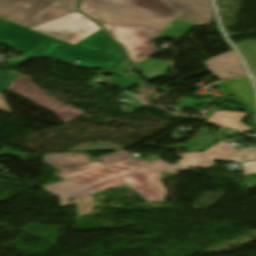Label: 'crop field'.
Listing matches in <instances>:
<instances>
[{
	"instance_id": "13",
	"label": "crop field",
	"mask_w": 256,
	"mask_h": 256,
	"mask_svg": "<svg viewBox=\"0 0 256 256\" xmlns=\"http://www.w3.org/2000/svg\"><path fill=\"white\" fill-rule=\"evenodd\" d=\"M152 63V64H149ZM148 65V66H145ZM137 71L141 72L143 77L148 80H153L162 77L166 73V69L170 67V62L147 59L138 64Z\"/></svg>"
},
{
	"instance_id": "21",
	"label": "crop field",
	"mask_w": 256,
	"mask_h": 256,
	"mask_svg": "<svg viewBox=\"0 0 256 256\" xmlns=\"http://www.w3.org/2000/svg\"><path fill=\"white\" fill-rule=\"evenodd\" d=\"M25 61L27 60H14V61H8V62H9V66H15Z\"/></svg>"
},
{
	"instance_id": "14",
	"label": "crop field",
	"mask_w": 256,
	"mask_h": 256,
	"mask_svg": "<svg viewBox=\"0 0 256 256\" xmlns=\"http://www.w3.org/2000/svg\"><path fill=\"white\" fill-rule=\"evenodd\" d=\"M18 75L12 72H1L0 71V92H5L9 87V82L14 80Z\"/></svg>"
},
{
	"instance_id": "9",
	"label": "crop field",
	"mask_w": 256,
	"mask_h": 256,
	"mask_svg": "<svg viewBox=\"0 0 256 256\" xmlns=\"http://www.w3.org/2000/svg\"><path fill=\"white\" fill-rule=\"evenodd\" d=\"M239 58V57H238ZM234 51L217 56L206 62L207 68L219 79L247 76Z\"/></svg>"
},
{
	"instance_id": "12",
	"label": "crop field",
	"mask_w": 256,
	"mask_h": 256,
	"mask_svg": "<svg viewBox=\"0 0 256 256\" xmlns=\"http://www.w3.org/2000/svg\"><path fill=\"white\" fill-rule=\"evenodd\" d=\"M223 83L239 97L251 103L250 106L244 108L246 112L255 113L256 100L249 78L228 80L223 81Z\"/></svg>"
},
{
	"instance_id": "1",
	"label": "crop field",
	"mask_w": 256,
	"mask_h": 256,
	"mask_svg": "<svg viewBox=\"0 0 256 256\" xmlns=\"http://www.w3.org/2000/svg\"><path fill=\"white\" fill-rule=\"evenodd\" d=\"M79 11L122 44L134 64L160 52L151 40H176L213 19L209 0H81Z\"/></svg>"
},
{
	"instance_id": "23",
	"label": "crop field",
	"mask_w": 256,
	"mask_h": 256,
	"mask_svg": "<svg viewBox=\"0 0 256 256\" xmlns=\"http://www.w3.org/2000/svg\"><path fill=\"white\" fill-rule=\"evenodd\" d=\"M3 22H5V20L0 19V24L3 23Z\"/></svg>"
},
{
	"instance_id": "11",
	"label": "crop field",
	"mask_w": 256,
	"mask_h": 256,
	"mask_svg": "<svg viewBox=\"0 0 256 256\" xmlns=\"http://www.w3.org/2000/svg\"><path fill=\"white\" fill-rule=\"evenodd\" d=\"M209 109L213 111L211 116L206 118V121L210 123L242 132H247L252 129L249 126L240 123L249 114L219 111L214 106Z\"/></svg>"
},
{
	"instance_id": "15",
	"label": "crop field",
	"mask_w": 256,
	"mask_h": 256,
	"mask_svg": "<svg viewBox=\"0 0 256 256\" xmlns=\"http://www.w3.org/2000/svg\"><path fill=\"white\" fill-rule=\"evenodd\" d=\"M215 86H217V87H219V88H221L220 90H218L217 92H220V93H222L223 95H224V97H225V99H227L226 97H227V95H229V94H231V95H233V99H231V100H233V101H235V102H237V103H239L241 106H246V105H248V103H246L244 100H242V99H240V98H238L237 96H235V94H233L228 88H226L221 82H219V83H217V84H214Z\"/></svg>"
},
{
	"instance_id": "8",
	"label": "crop field",
	"mask_w": 256,
	"mask_h": 256,
	"mask_svg": "<svg viewBox=\"0 0 256 256\" xmlns=\"http://www.w3.org/2000/svg\"><path fill=\"white\" fill-rule=\"evenodd\" d=\"M44 55L57 58L74 65L88 67L91 69H95L107 57L110 56L109 54H94L58 40L54 41L52 44H50L47 48H45L35 57ZM75 60H79L82 62L77 63L74 62Z\"/></svg>"
},
{
	"instance_id": "5",
	"label": "crop field",
	"mask_w": 256,
	"mask_h": 256,
	"mask_svg": "<svg viewBox=\"0 0 256 256\" xmlns=\"http://www.w3.org/2000/svg\"><path fill=\"white\" fill-rule=\"evenodd\" d=\"M30 29L75 45L100 27L75 12Z\"/></svg>"
},
{
	"instance_id": "4",
	"label": "crop field",
	"mask_w": 256,
	"mask_h": 256,
	"mask_svg": "<svg viewBox=\"0 0 256 256\" xmlns=\"http://www.w3.org/2000/svg\"><path fill=\"white\" fill-rule=\"evenodd\" d=\"M68 13L57 0H0V18L27 28Z\"/></svg>"
},
{
	"instance_id": "10",
	"label": "crop field",
	"mask_w": 256,
	"mask_h": 256,
	"mask_svg": "<svg viewBox=\"0 0 256 256\" xmlns=\"http://www.w3.org/2000/svg\"><path fill=\"white\" fill-rule=\"evenodd\" d=\"M105 33V32H104ZM102 30L93 34L89 38L80 42L76 46L86 49L88 51L93 50L95 52H108L119 63L124 59L121 47L114 43L108 36H106Z\"/></svg>"
},
{
	"instance_id": "7",
	"label": "crop field",
	"mask_w": 256,
	"mask_h": 256,
	"mask_svg": "<svg viewBox=\"0 0 256 256\" xmlns=\"http://www.w3.org/2000/svg\"><path fill=\"white\" fill-rule=\"evenodd\" d=\"M53 39L10 22L0 25V44L25 52L22 58L32 57Z\"/></svg>"
},
{
	"instance_id": "16",
	"label": "crop field",
	"mask_w": 256,
	"mask_h": 256,
	"mask_svg": "<svg viewBox=\"0 0 256 256\" xmlns=\"http://www.w3.org/2000/svg\"><path fill=\"white\" fill-rule=\"evenodd\" d=\"M112 74L115 75V76H119L120 77L119 79H115V77L112 78V79H109L111 82L115 83L116 85H118V86H120V87H122L124 89H126V88H128V87L133 85L132 83H130L126 78H124L117 71L112 72Z\"/></svg>"
},
{
	"instance_id": "18",
	"label": "crop field",
	"mask_w": 256,
	"mask_h": 256,
	"mask_svg": "<svg viewBox=\"0 0 256 256\" xmlns=\"http://www.w3.org/2000/svg\"><path fill=\"white\" fill-rule=\"evenodd\" d=\"M58 1H60L62 4H64L66 7H68L73 12L76 11V4H77L78 0H58Z\"/></svg>"
},
{
	"instance_id": "24",
	"label": "crop field",
	"mask_w": 256,
	"mask_h": 256,
	"mask_svg": "<svg viewBox=\"0 0 256 256\" xmlns=\"http://www.w3.org/2000/svg\"><path fill=\"white\" fill-rule=\"evenodd\" d=\"M256 78V77H255Z\"/></svg>"
},
{
	"instance_id": "2",
	"label": "crop field",
	"mask_w": 256,
	"mask_h": 256,
	"mask_svg": "<svg viewBox=\"0 0 256 256\" xmlns=\"http://www.w3.org/2000/svg\"><path fill=\"white\" fill-rule=\"evenodd\" d=\"M74 155V157H71ZM54 156V158H52ZM51 159V160H49ZM107 166L131 159L125 151L100 158ZM43 162L63 171L57 176L66 179L98 168L105 167L102 162H90L82 153L47 154ZM148 162L131 159L103 169L66 179L62 182L43 187L50 193L59 196L91 185L105 182L131 173ZM59 185V187H57Z\"/></svg>"
},
{
	"instance_id": "19",
	"label": "crop field",
	"mask_w": 256,
	"mask_h": 256,
	"mask_svg": "<svg viewBox=\"0 0 256 256\" xmlns=\"http://www.w3.org/2000/svg\"><path fill=\"white\" fill-rule=\"evenodd\" d=\"M1 94L2 93H0V111H5V112L11 113L12 111L10 112V110H9L10 108L8 109L6 103L4 102V100L1 97Z\"/></svg>"
},
{
	"instance_id": "3",
	"label": "crop field",
	"mask_w": 256,
	"mask_h": 256,
	"mask_svg": "<svg viewBox=\"0 0 256 256\" xmlns=\"http://www.w3.org/2000/svg\"><path fill=\"white\" fill-rule=\"evenodd\" d=\"M163 166H165V168H163ZM162 171L174 174L178 173L172 165L158 159L127 176L62 195L61 198L59 196L61 201L59 207L62 208L75 203L77 208H79L77 211L78 215H84L93 211V206L96 205L94 197L90 196L91 194L104 191L107 188H114L125 183L135 191L139 192V195L144 197L148 202L163 201L166 192L159 181ZM70 198L75 201L67 202L66 200Z\"/></svg>"
},
{
	"instance_id": "17",
	"label": "crop field",
	"mask_w": 256,
	"mask_h": 256,
	"mask_svg": "<svg viewBox=\"0 0 256 256\" xmlns=\"http://www.w3.org/2000/svg\"><path fill=\"white\" fill-rule=\"evenodd\" d=\"M108 58V57H107ZM119 65V63L114 60L111 56L105 60L99 67H97L96 69H102V70H106L109 71L112 68H114L115 66Z\"/></svg>"
},
{
	"instance_id": "6",
	"label": "crop field",
	"mask_w": 256,
	"mask_h": 256,
	"mask_svg": "<svg viewBox=\"0 0 256 256\" xmlns=\"http://www.w3.org/2000/svg\"><path fill=\"white\" fill-rule=\"evenodd\" d=\"M246 151H250V153H246ZM178 156L182 159L177 165L173 164V166L178 171H182L190 170L189 167L196 169L213 166L215 160L240 162L256 159V148L251 150H237L226 142L220 141L203 153L178 154ZM229 156L233 157L229 158ZM245 156L247 158H244ZM181 167L184 169H181Z\"/></svg>"
},
{
	"instance_id": "20",
	"label": "crop field",
	"mask_w": 256,
	"mask_h": 256,
	"mask_svg": "<svg viewBox=\"0 0 256 256\" xmlns=\"http://www.w3.org/2000/svg\"><path fill=\"white\" fill-rule=\"evenodd\" d=\"M244 171L256 169V161L242 164Z\"/></svg>"
},
{
	"instance_id": "22",
	"label": "crop field",
	"mask_w": 256,
	"mask_h": 256,
	"mask_svg": "<svg viewBox=\"0 0 256 256\" xmlns=\"http://www.w3.org/2000/svg\"><path fill=\"white\" fill-rule=\"evenodd\" d=\"M253 172H256V170L246 171V172H243V174H248V173H253Z\"/></svg>"
}]
</instances>
